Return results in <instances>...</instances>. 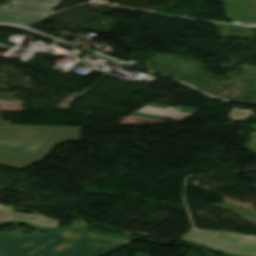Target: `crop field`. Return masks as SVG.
I'll return each mask as SVG.
<instances>
[{
  "mask_svg": "<svg viewBox=\"0 0 256 256\" xmlns=\"http://www.w3.org/2000/svg\"><path fill=\"white\" fill-rule=\"evenodd\" d=\"M132 242L80 231L0 232V256H103Z\"/></svg>",
  "mask_w": 256,
  "mask_h": 256,
  "instance_id": "obj_1",
  "label": "crop field"
},
{
  "mask_svg": "<svg viewBox=\"0 0 256 256\" xmlns=\"http://www.w3.org/2000/svg\"><path fill=\"white\" fill-rule=\"evenodd\" d=\"M13 6L53 12L61 0H7ZM49 13L11 7L0 8V23H11L24 27L30 26L46 18Z\"/></svg>",
  "mask_w": 256,
  "mask_h": 256,
  "instance_id": "obj_4",
  "label": "crop field"
},
{
  "mask_svg": "<svg viewBox=\"0 0 256 256\" xmlns=\"http://www.w3.org/2000/svg\"><path fill=\"white\" fill-rule=\"evenodd\" d=\"M199 110L179 106L177 108L152 103L132 115L182 122Z\"/></svg>",
  "mask_w": 256,
  "mask_h": 256,
  "instance_id": "obj_5",
  "label": "crop field"
},
{
  "mask_svg": "<svg viewBox=\"0 0 256 256\" xmlns=\"http://www.w3.org/2000/svg\"><path fill=\"white\" fill-rule=\"evenodd\" d=\"M227 3H232V4H242V5H251L254 6L252 0H224Z\"/></svg>",
  "mask_w": 256,
  "mask_h": 256,
  "instance_id": "obj_8",
  "label": "crop field"
},
{
  "mask_svg": "<svg viewBox=\"0 0 256 256\" xmlns=\"http://www.w3.org/2000/svg\"><path fill=\"white\" fill-rule=\"evenodd\" d=\"M80 127L0 125V164L24 169L55 144L79 142Z\"/></svg>",
  "mask_w": 256,
  "mask_h": 256,
  "instance_id": "obj_2",
  "label": "crop field"
},
{
  "mask_svg": "<svg viewBox=\"0 0 256 256\" xmlns=\"http://www.w3.org/2000/svg\"><path fill=\"white\" fill-rule=\"evenodd\" d=\"M254 20H256V17L254 18Z\"/></svg>",
  "mask_w": 256,
  "mask_h": 256,
  "instance_id": "obj_11",
  "label": "crop field"
},
{
  "mask_svg": "<svg viewBox=\"0 0 256 256\" xmlns=\"http://www.w3.org/2000/svg\"><path fill=\"white\" fill-rule=\"evenodd\" d=\"M181 240L194 242L218 251L256 256V237L206 231H191Z\"/></svg>",
  "mask_w": 256,
  "mask_h": 256,
  "instance_id": "obj_3",
  "label": "crop field"
},
{
  "mask_svg": "<svg viewBox=\"0 0 256 256\" xmlns=\"http://www.w3.org/2000/svg\"><path fill=\"white\" fill-rule=\"evenodd\" d=\"M73 227H81V228L88 229L89 224H87L85 222L75 221V222H73Z\"/></svg>",
  "mask_w": 256,
  "mask_h": 256,
  "instance_id": "obj_9",
  "label": "crop field"
},
{
  "mask_svg": "<svg viewBox=\"0 0 256 256\" xmlns=\"http://www.w3.org/2000/svg\"><path fill=\"white\" fill-rule=\"evenodd\" d=\"M254 1V4L256 5V0H253Z\"/></svg>",
  "mask_w": 256,
  "mask_h": 256,
  "instance_id": "obj_10",
  "label": "crop field"
},
{
  "mask_svg": "<svg viewBox=\"0 0 256 256\" xmlns=\"http://www.w3.org/2000/svg\"><path fill=\"white\" fill-rule=\"evenodd\" d=\"M231 19L253 20L256 15V7L228 4Z\"/></svg>",
  "mask_w": 256,
  "mask_h": 256,
  "instance_id": "obj_7",
  "label": "crop field"
},
{
  "mask_svg": "<svg viewBox=\"0 0 256 256\" xmlns=\"http://www.w3.org/2000/svg\"><path fill=\"white\" fill-rule=\"evenodd\" d=\"M23 221L38 226L40 228H51L59 226L60 221L44 217L41 215L25 214L11 211L0 210V222Z\"/></svg>",
  "mask_w": 256,
  "mask_h": 256,
  "instance_id": "obj_6",
  "label": "crop field"
}]
</instances>
